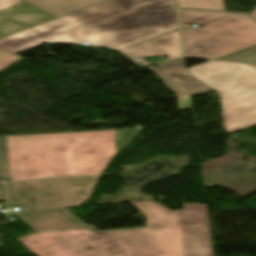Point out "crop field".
I'll use <instances>...</instances> for the list:
<instances>
[{
	"mask_svg": "<svg viewBox=\"0 0 256 256\" xmlns=\"http://www.w3.org/2000/svg\"><path fill=\"white\" fill-rule=\"evenodd\" d=\"M132 203L148 228L99 231L66 210L21 212L35 232L17 241L37 256H214L207 205L170 211L154 201Z\"/></svg>",
	"mask_w": 256,
	"mask_h": 256,
	"instance_id": "8a807250",
	"label": "crop field"
},
{
	"mask_svg": "<svg viewBox=\"0 0 256 256\" xmlns=\"http://www.w3.org/2000/svg\"><path fill=\"white\" fill-rule=\"evenodd\" d=\"M172 0H106L0 40V48L19 53L46 42L122 50L177 30Z\"/></svg>",
	"mask_w": 256,
	"mask_h": 256,
	"instance_id": "ac0d7876",
	"label": "crop field"
},
{
	"mask_svg": "<svg viewBox=\"0 0 256 256\" xmlns=\"http://www.w3.org/2000/svg\"><path fill=\"white\" fill-rule=\"evenodd\" d=\"M140 132L0 137V181L102 174L112 158Z\"/></svg>",
	"mask_w": 256,
	"mask_h": 256,
	"instance_id": "34b2d1b8",
	"label": "crop field"
},
{
	"mask_svg": "<svg viewBox=\"0 0 256 256\" xmlns=\"http://www.w3.org/2000/svg\"><path fill=\"white\" fill-rule=\"evenodd\" d=\"M186 56L215 59L256 44V22L245 13L179 9Z\"/></svg>",
	"mask_w": 256,
	"mask_h": 256,
	"instance_id": "412701ff",
	"label": "crop field"
},
{
	"mask_svg": "<svg viewBox=\"0 0 256 256\" xmlns=\"http://www.w3.org/2000/svg\"><path fill=\"white\" fill-rule=\"evenodd\" d=\"M191 75L218 93L226 133L256 125V69L209 61L188 68Z\"/></svg>",
	"mask_w": 256,
	"mask_h": 256,
	"instance_id": "f4fd0767",
	"label": "crop field"
},
{
	"mask_svg": "<svg viewBox=\"0 0 256 256\" xmlns=\"http://www.w3.org/2000/svg\"><path fill=\"white\" fill-rule=\"evenodd\" d=\"M98 176L5 183L9 201H27V210L80 206L88 200ZM41 192V195L37 193Z\"/></svg>",
	"mask_w": 256,
	"mask_h": 256,
	"instance_id": "dd49c442",
	"label": "crop field"
},
{
	"mask_svg": "<svg viewBox=\"0 0 256 256\" xmlns=\"http://www.w3.org/2000/svg\"><path fill=\"white\" fill-rule=\"evenodd\" d=\"M157 65L158 68L152 70L178 97L179 110L191 109L190 96L212 90L189 74L184 58L158 62Z\"/></svg>",
	"mask_w": 256,
	"mask_h": 256,
	"instance_id": "e52e79f7",
	"label": "crop field"
},
{
	"mask_svg": "<svg viewBox=\"0 0 256 256\" xmlns=\"http://www.w3.org/2000/svg\"><path fill=\"white\" fill-rule=\"evenodd\" d=\"M54 19L23 0H0V38Z\"/></svg>",
	"mask_w": 256,
	"mask_h": 256,
	"instance_id": "d8731c3e",
	"label": "crop field"
},
{
	"mask_svg": "<svg viewBox=\"0 0 256 256\" xmlns=\"http://www.w3.org/2000/svg\"><path fill=\"white\" fill-rule=\"evenodd\" d=\"M130 58L167 56L181 57L179 32L174 31L120 51Z\"/></svg>",
	"mask_w": 256,
	"mask_h": 256,
	"instance_id": "5a996713",
	"label": "crop field"
},
{
	"mask_svg": "<svg viewBox=\"0 0 256 256\" xmlns=\"http://www.w3.org/2000/svg\"><path fill=\"white\" fill-rule=\"evenodd\" d=\"M57 18L103 0H26Z\"/></svg>",
	"mask_w": 256,
	"mask_h": 256,
	"instance_id": "3316defc",
	"label": "crop field"
},
{
	"mask_svg": "<svg viewBox=\"0 0 256 256\" xmlns=\"http://www.w3.org/2000/svg\"><path fill=\"white\" fill-rule=\"evenodd\" d=\"M218 60L249 63L256 67V45L218 58Z\"/></svg>",
	"mask_w": 256,
	"mask_h": 256,
	"instance_id": "28ad6ade",
	"label": "crop field"
},
{
	"mask_svg": "<svg viewBox=\"0 0 256 256\" xmlns=\"http://www.w3.org/2000/svg\"><path fill=\"white\" fill-rule=\"evenodd\" d=\"M178 7L224 10L222 0H177Z\"/></svg>",
	"mask_w": 256,
	"mask_h": 256,
	"instance_id": "d1516ede",
	"label": "crop field"
},
{
	"mask_svg": "<svg viewBox=\"0 0 256 256\" xmlns=\"http://www.w3.org/2000/svg\"><path fill=\"white\" fill-rule=\"evenodd\" d=\"M23 58L18 57L14 54L8 53L0 49V70L22 60Z\"/></svg>",
	"mask_w": 256,
	"mask_h": 256,
	"instance_id": "22f410ed",
	"label": "crop field"
},
{
	"mask_svg": "<svg viewBox=\"0 0 256 256\" xmlns=\"http://www.w3.org/2000/svg\"><path fill=\"white\" fill-rule=\"evenodd\" d=\"M0 201H5L4 190H3V184L2 183H0Z\"/></svg>",
	"mask_w": 256,
	"mask_h": 256,
	"instance_id": "cbeb9de0",
	"label": "crop field"
},
{
	"mask_svg": "<svg viewBox=\"0 0 256 256\" xmlns=\"http://www.w3.org/2000/svg\"><path fill=\"white\" fill-rule=\"evenodd\" d=\"M250 15H252L255 19H256V9H254L252 12L249 13Z\"/></svg>",
	"mask_w": 256,
	"mask_h": 256,
	"instance_id": "5142ce71",
	"label": "crop field"
}]
</instances>
